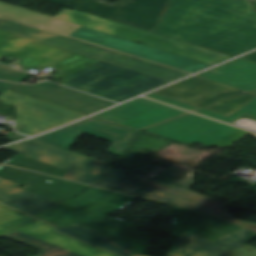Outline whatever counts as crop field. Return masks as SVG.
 <instances>
[{
	"instance_id": "e1f06a70",
	"label": "crop field",
	"mask_w": 256,
	"mask_h": 256,
	"mask_svg": "<svg viewBox=\"0 0 256 256\" xmlns=\"http://www.w3.org/2000/svg\"><path fill=\"white\" fill-rule=\"evenodd\" d=\"M132 256H144V255H138V254H134V255H132Z\"/></svg>"
},
{
	"instance_id": "c035e120",
	"label": "crop field",
	"mask_w": 256,
	"mask_h": 256,
	"mask_svg": "<svg viewBox=\"0 0 256 256\" xmlns=\"http://www.w3.org/2000/svg\"><path fill=\"white\" fill-rule=\"evenodd\" d=\"M252 93H255V94H256V91H255V92H252Z\"/></svg>"
},
{
	"instance_id": "750c4746",
	"label": "crop field",
	"mask_w": 256,
	"mask_h": 256,
	"mask_svg": "<svg viewBox=\"0 0 256 256\" xmlns=\"http://www.w3.org/2000/svg\"><path fill=\"white\" fill-rule=\"evenodd\" d=\"M30 75L1 66L0 65V80L20 82Z\"/></svg>"
},
{
	"instance_id": "00972430",
	"label": "crop field",
	"mask_w": 256,
	"mask_h": 256,
	"mask_svg": "<svg viewBox=\"0 0 256 256\" xmlns=\"http://www.w3.org/2000/svg\"><path fill=\"white\" fill-rule=\"evenodd\" d=\"M19 184L0 178V199L36 214L58 203L51 199L19 188Z\"/></svg>"
},
{
	"instance_id": "028f5c9d",
	"label": "crop field",
	"mask_w": 256,
	"mask_h": 256,
	"mask_svg": "<svg viewBox=\"0 0 256 256\" xmlns=\"http://www.w3.org/2000/svg\"><path fill=\"white\" fill-rule=\"evenodd\" d=\"M241 58H244V59H247V60H251V61L256 62V51L253 52V53H250V54H248V55H246V56H243V57H241Z\"/></svg>"
},
{
	"instance_id": "5142ce71",
	"label": "crop field",
	"mask_w": 256,
	"mask_h": 256,
	"mask_svg": "<svg viewBox=\"0 0 256 256\" xmlns=\"http://www.w3.org/2000/svg\"><path fill=\"white\" fill-rule=\"evenodd\" d=\"M184 113L188 112L139 98L95 116L140 129Z\"/></svg>"
},
{
	"instance_id": "92a150f3",
	"label": "crop field",
	"mask_w": 256,
	"mask_h": 256,
	"mask_svg": "<svg viewBox=\"0 0 256 256\" xmlns=\"http://www.w3.org/2000/svg\"><path fill=\"white\" fill-rule=\"evenodd\" d=\"M247 92L256 90V63L241 58L196 75Z\"/></svg>"
},
{
	"instance_id": "8a807250",
	"label": "crop field",
	"mask_w": 256,
	"mask_h": 256,
	"mask_svg": "<svg viewBox=\"0 0 256 256\" xmlns=\"http://www.w3.org/2000/svg\"><path fill=\"white\" fill-rule=\"evenodd\" d=\"M155 32L238 56L256 48L249 0H171Z\"/></svg>"
},
{
	"instance_id": "1d83c4d3",
	"label": "crop field",
	"mask_w": 256,
	"mask_h": 256,
	"mask_svg": "<svg viewBox=\"0 0 256 256\" xmlns=\"http://www.w3.org/2000/svg\"><path fill=\"white\" fill-rule=\"evenodd\" d=\"M146 97L157 99V100H160V101H163V102H166V103H169V104H172V105L184 108V109H188L190 111L197 109V107H194V106H191V105L179 102V101H175V100H172V99H169V98H166V97L154 94V93H151V94L147 95Z\"/></svg>"
},
{
	"instance_id": "214f88e0",
	"label": "crop field",
	"mask_w": 256,
	"mask_h": 256,
	"mask_svg": "<svg viewBox=\"0 0 256 256\" xmlns=\"http://www.w3.org/2000/svg\"><path fill=\"white\" fill-rule=\"evenodd\" d=\"M173 237L189 232L209 240H216L242 227L189 211L173 209Z\"/></svg>"
},
{
	"instance_id": "eef30255",
	"label": "crop field",
	"mask_w": 256,
	"mask_h": 256,
	"mask_svg": "<svg viewBox=\"0 0 256 256\" xmlns=\"http://www.w3.org/2000/svg\"><path fill=\"white\" fill-rule=\"evenodd\" d=\"M5 237L42 251L36 256H82V255L73 253L71 251L62 249L60 247L48 244L46 242L37 240L35 238L26 236L19 232L5 236Z\"/></svg>"
},
{
	"instance_id": "f4fd0767",
	"label": "crop field",
	"mask_w": 256,
	"mask_h": 256,
	"mask_svg": "<svg viewBox=\"0 0 256 256\" xmlns=\"http://www.w3.org/2000/svg\"><path fill=\"white\" fill-rule=\"evenodd\" d=\"M56 83L121 102L167 82L100 62Z\"/></svg>"
},
{
	"instance_id": "d32e631a",
	"label": "crop field",
	"mask_w": 256,
	"mask_h": 256,
	"mask_svg": "<svg viewBox=\"0 0 256 256\" xmlns=\"http://www.w3.org/2000/svg\"><path fill=\"white\" fill-rule=\"evenodd\" d=\"M195 112L198 113V114L209 116V117H211L213 119H217V120H221V119L226 117L225 115H221V114L214 113V112L204 110V109H201V110H198V111H195Z\"/></svg>"
},
{
	"instance_id": "d1516ede",
	"label": "crop field",
	"mask_w": 256,
	"mask_h": 256,
	"mask_svg": "<svg viewBox=\"0 0 256 256\" xmlns=\"http://www.w3.org/2000/svg\"><path fill=\"white\" fill-rule=\"evenodd\" d=\"M70 37L88 41L124 53H128L158 64L174 67L190 73L210 65L180 57L152 47L120 39L105 33L81 26Z\"/></svg>"
},
{
	"instance_id": "cbeb9de0",
	"label": "crop field",
	"mask_w": 256,
	"mask_h": 256,
	"mask_svg": "<svg viewBox=\"0 0 256 256\" xmlns=\"http://www.w3.org/2000/svg\"><path fill=\"white\" fill-rule=\"evenodd\" d=\"M80 130L114 141L109 147L108 152L115 155H120L125 151L135 134V131L89 117L76 124L34 139L67 149Z\"/></svg>"
},
{
	"instance_id": "412701ff",
	"label": "crop field",
	"mask_w": 256,
	"mask_h": 256,
	"mask_svg": "<svg viewBox=\"0 0 256 256\" xmlns=\"http://www.w3.org/2000/svg\"><path fill=\"white\" fill-rule=\"evenodd\" d=\"M0 29L18 34L33 40H37L52 46H56L71 52H75L90 58L108 62L123 68H127L151 77L167 82L184 76L188 73L160 66L88 43H84L63 35L32 28L4 17H0Z\"/></svg>"
},
{
	"instance_id": "34b2d1b8",
	"label": "crop field",
	"mask_w": 256,
	"mask_h": 256,
	"mask_svg": "<svg viewBox=\"0 0 256 256\" xmlns=\"http://www.w3.org/2000/svg\"><path fill=\"white\" fill-rule=\"evenodd\" d=\"M96 186L148 198L169 205L213 215L239 223L256 231V224L234 219L227 212V204L201 194L179 188L147 176L117 168L116 171Z\"/></svg>"
},
{
	"instance_id": "d3111659",
	"label": "crop field",
	"mask_w": 256,
	"mask_h": 256,
	"mask_svg": "<svg viewBox=\"0 0 256 256\" xmlns=\"http://www.w3.org/2000/svg\"><path fill=\"white\" fill-rule=\"evenodd\" d=\"M255 97L256 95L248 93L204 109L215 111L228 116Z\"/></svg>"
},
{
	"instance_id": "d8731c3e",
	"label": "crop field",
	"mask_w": 256,
	"mask_h": 256,
	"mask_svg": "<svg viewBox=\"0 0 256 256\" xmlns=\"http://www.w3.org/2000/svg\"><path fill=\"white\" fill-rule=\"evenodd\" d=\"M4 148L56 167L68 169L70 172L63 178L90 185L95 184L112 171V168L105 166L102 161L34 139Z\"/></svg>"
},
{
	"instance_id": "22f410ed",
	"label": "crop field",
	"mask_w": 256,
	"mask_h": 256,
	"mask_svg": "<svg viewBox=\"0 0 256 256\" xmlns=\"http://www.w3.org/2000/svg\"><path fill=\"white\" fill-rule=\"evenodd\" d=\"M237 128L191 113L153 126L145 131L185 143L193 141L211 145Z\"/></svg>"
},
{
	"instance_id": "28ad6ade",
	"label": "crop field",
	"mask_w": 256,
	"mask_h": 256,
	"mask_svg": "<svg viewBox=\"0 0 256 256\" xmlns=\"http://www.w3.org/2000/svg\"><path fill=\"white\" fill-rule=\"evenodd\" d=\"M153 31L168 0H122L114 7L97 0H48Z\"/></svg>"
},
{
	"instance_id": "4a817a6b",
	"label": "crop field",
	"mask_w": 256,
	"mask_h": 256,
	"mask_svg": "<svg viewBox=\"0 0 256 256\" xmlns=\"http://www.w3.org/2000/svg\"><path fill=\"white\" fill-rule=\"evenodd\" d=\"M0 177L22 184L23 188L58 202L75 197L89 187L9 166H0Z\"/></svg>"
},
{
	"instance_id": "ac0d7876",
	"label": "crop field",
	"mask_w": 256,
	"mask_h": 256,
	"mask_svg": "<svg viewBox=\"0 0 256 256\" xmlns=\"http://www.w3.org/2000/svg\"><path fill=\"white\" fill-rule=\"evenodd\" d=\"M132 199L133 197L92 187L78 198L37 216L57 226L80 224L98 230L136 253H145L150 242L149 235L129 222L103 217L104 214L114 213L125 207Z\"/></svg>"
},
{
	"instance_id": "dd49c442",
	"label": "crop field",
	"mask_w": 256,
	"mask_h": 256,
	"mask_svg": "<svg viewBox=\"0 0 256 256\" xmlns=\"http://www.w3.org/2000/svg\"><path fill=\"white\" fill-rule=\"evenodd\" d=\"M55 18L93 28L127 40L140 41L146 45L210 65L231 57L184 42L169 39L131 26L99 18L77 10L71 11L65 9Z\"/></svg>"
},
{
	"instance_id": "4177f3b9",
	"label": "crop field",
	"mask_w": 256,
	"mask_h": 256,
	"mask_svg": "<svg viewBox=\"0 0 256 256\" xmlns=\"http://www.w3.org/2000/svg\"><path fill=\"white\" fill-rule=\"evenodd\" d=\"M88 229V228H87ZM81 226H74L68 228H57V231L66 233L73 237L79 238L86 242H89L98 247L104 248L106 250L112 251L114 253L120 254L122 256H128L132 254L130 251L125 248L111 242L109 239L104 237L103 235L87 230Z\"/></svg>"
},
{
	"instance_id": "120bbe31",
	"label": "crop field",
	"mask_w": 256,
	"mask_h": 256,
	"mask_svg": "<svg viewBox=\"0 0 256 256\" xmlns=\"http://www.w3.org/2000/svg\"><path fill=\"white\" fill-rule=\"evenodd\" d=\"M223 256H256V248L249 245H244L238 249H235Z\"/></svg>"
},
{
	"instance_id": "730fd06b",
	"label": "crop field",
	"mask_w": 256,
	"mask_h": 256,
	"mask_svg": "<svg viewBox=\"0 0 256 256\" xmlns=\"http://www.w3.org/2000/svg\"><path fill=\"white\" fill-rule=\"evenodd\" d=\"M38 221L0 203V237L17 232L13 228Z\"/></svg>"
},
{
	"instance_id": "733c2abd",
	"label": "crop field",
	"mask_w": 256,
	"mask_h": 256,
	"mask_svg": "<svg viewBox=\"0 0 256 256\" xmlns=\"http://www.w3.org/2000/svg\"><path fill=\"white\" fill-rule=\"evenodd\" d=\"M154 93L203 107L247 92L193 76Z\"/></svg>"
},
{
	"instance_id": "a9b5d70f",
	"label": "crop field",
	"mask_w": 256,
	"mask_h": 256,
	"mask_svg": "<svg viewBox=\"0 0 256 256\" xmlns=\"http://www.w3.org/2000/svg\"><path fill=\"white\" fill-rule=\"evenodd\" d=\"M0 15L69 36L79 25L0 2Z\"/></svg>"
},
{
	"instance_id": "dafd665d",
	"label": "crop field",
	"mask_w": 256,
	"mask_h": 256,
	"mask_svg": "<svg viewBox=\"0 0 256 256\" xmlns=\"http://www.w3.org/2000/svg\"><path fill=\"white\" fill-rule=\"evenodd\" d=\"M21 233L60 246L84 256H92L100 253L105 256H116L101 249L79 242L72 238L54 232V227L42 221L31 223L22 227L15 228Z\"/></svg>"
},
{
	"instance_id": "5a996713",
	"label": "crop field",
	"mask_w": 256,
	"mask_h": 256,
	"mask_svg": "<svg viewBox=\"0 0 256 256\" xmlns=\"http://www.w3.org/2000/svg\"><path fill=\"white\" fill-rule=\"evenodd\" d=\"M171 142L172 141L138 132L118 167L189 189L194 185L193 174L195 170L177 164L169 168L153 166L146 162V153L141 151L142 149L148 148L157 152Z\"/></svg>"
},
{
	"instance_id": "d9b57169",
	"label": "crop field",
	"mask_w": 256,
	"mask_h": 256,
	"mask_svg": "<svg viewBox=\"0 0 256 256\" xmlns=\"http://www.w3.org/2000/svg\"><path fill=\"white\" fill-rule=\"evenodd\" d=\"M14 90L87 115L116 104L50 82L38 85L19 84Z\"/></svg>"
},
{
	"instance_id": "b80d0937",
	"label": "crop field",
	"mask_w": 256,
	"mask_h": 256,
	"mask_svg": "<svg viewBox=\"0 0 256 256\" xmlns=\"http://www.w3.org/2000/svg\"><path fill=\"white\" fill-rule=\"evenodd\" d=\"M95 256H102V255H100V254H97V255H95Z\"/></svg>"
},
{
	"instance_id": "e52e79f7",
	"label": "crop field",
	"mask_w": 256,
	"mask_h": 256,
	"mask_svg": "<svg viewBox=\"0 0 256 256\" xmlns=\"http://www.w3.org/2000/svg\"><path fill=\"white\" fill-rule=\"evenodd\" d=\"M7 56L18 60L16 63L27 71L33 67H50L63 78L100 61L33 41L0 30V58Z\"/></svg>"
},
{
	"instance_id": "bc2a9ffb",
	"label": "crop field",
	"mask_w": 256,
	"mask_h": 256,
	"mask_svg": "<svg viewBox=\"0 0 256 256\" xmlns=\"http://www.w3.org/2000/svg\"><path fill=\"white\" fill-rule=\"evenodd\" d=\"M256 234L242 228L215 242L185 233L178 238L167 256H220L245 243Z\"/></svg>"
},
{
	"instance_id": "bd1437ed",
	"label": "crop field",
	"mask_w": 256,
	"mask_h": 256,
	"mask_svg": "<svg viewBox=\"0 0 256 256\" xmlns=\"http://www.w3.org/2000/svg\"><path fill=\"white\" fill-rule=\"evenodd\" d=\"M244 113L256 116V98L221 121L230 123Z\"/></svg>"
},
{
	"instance_id": "ae1a2a85",
	"label": "crop field",
	"mask_w": 256,
	"mask_h": 256,
	"mask_svg": "<svg viewBox=\"0 0 256 256\" xmlns=\"http://www.w3.org/2000/svg\"><path fill=\"white\" fill-rule=\"evenodd\" d=\"M4 164H10V165H14L17 167H21V168H25V169L53 175V176H59V177H62L67 172H69L67 170L59 169V168L38 162L36 160L30 159V158H27V157H24V156H21L18 154L13 156L11 159H9Z\"/></svg>"
},
{
	"instance_id": "5866460e",
	"label": "crop field",
	"mask_w": 256,
	"mask_h": 256,
	"mask_svg": "<svg viewBox=\"0 0 256 256\" xmlns=\"http://www.w3.org/2000/svg\"><path fill=\"white\" fill-rule=\"evenodd\" d=\"M16 85L17 84H15V83H7V82L0 81V93H3L5 91H7L8 89L11 90Z\"/></svg>"
},
{
	"instance_id": "0bd39190",
	"label": "crop field",
	"mask_w": 256,
	"mask_h": 256,
	"mask_svg": "<svg viewBox=\"0 0 256 256\" xmlns=\"http://www.w3.org/2000/svg\"><path fill=\"white\" fill-rule=\"evenodd\" d=\"M253 3H254V5H255V7H256V1H253Z\"/></svg>"
},
{
	"instance_id": "3316defc",
	"label": "crop field",
	"mask_w": 256,
	"mask_h": 256,
	"mask_svg": "<svg viewBox=\"0 0 256 256\" xmlns=\"http://www.w3.org/2000/svg\"><path fill=\"white\" fill-rule=\"evenodd\" d=\"M7 105H17L18 128L15 131L29 136L48 131L85 115L13 92L1 97Z\"/></svg>"
}]
</instances>
